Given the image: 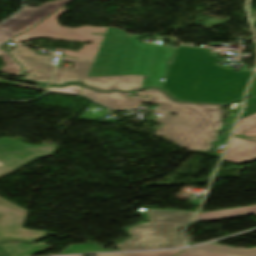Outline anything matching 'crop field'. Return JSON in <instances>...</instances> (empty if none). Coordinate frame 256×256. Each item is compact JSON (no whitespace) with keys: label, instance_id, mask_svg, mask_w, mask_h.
Returning a JSON list of instances; mask_svg holds the SVG:
<instances>
[{"label":"crop field","instance_id":"crop-field-1","mask_svg":"<svg viewBox=\"0 0 256 256\" xmlns=\"http://www.w3.org/2000/svg\"><path fill=\"white\" fill-rule=\"evenodd\" d=\"M141 96L153 95L150 99L128 97L129 93L97 92L83 87L84 95L111 110L137 109L141 102L161 104L155 111L162 114L156 120L166 124L156 134L190 150L207 151L212 141H218L216 131L223 127L221 116L225 111L215 105L177 103L160 90L147 89L136 92ZM173 111L174 117L166 112Z\"/></svg>","mask_w":256,"mask_h":256},{"label":"crop field","instance_id":"crop-field-18","mask_svg":"<svg viewBox=\"0 0 256 256\" xmlns=\"http://www.w3.org/2000/svg\"><path fill=\"white\" fill-rule=\"evenodd\" d=\"M256 127V113L239 120L234 134L241 135L244 131Z\"/></svg>","mask_w":256,"mask_h":256},{"label":"crop field","instance_id":"crop-field-21","mask_svg":"<svg viewBox=\"0 0 256 256\" xmlns=\"http://www.w3.org/2000/svg\"><path fill=\"white\" fill-rule=\"evenodd\" d=\"M52 247L45 245L43 243H40L18 255L15 256H29L30 254H34V253H39V252H43V251H47L49 249H51Z\"/></svg>","mask_w":256,"mask_h":256},{"label":"crop field","instance_id":"crop-field-10","mask_svg":"<svg viewBox=\"0 0 256 256\" xmlns=\"http://www.w3.org/2000/svg\"><path fill=\"white\" fill-rule=\"evenodd\" d=\"M10 53L25 67L23 74L29 73L25 79L43 83L49 82V78L55 67L52 65L53 62L49 61V57L36 56L33 51L25 46H20L10 51ZM33 74L36 77L32 76Z\"/></svg>","mask_w":256,"mask_h":256},{"label":"crop field","instance_id":"crop-field-2","mask_svg":"<svg viewBox=\"0 0 256 256\" xmlns=\"http://www.w3.org/2000/svg\"><path fill=\"white\" fill-rule=\"evenodd\" d=\"M209 50L180 47L163 89L179 101L225 104L243 96L253 72H233L215 66Z\"/></svg>","mask_w":256,"mask_h":256},{"label":"crop field","instance_id":"crop-field-16","mask_svg":"<svg viewBox=\"0 0 256 256\" xmlns=\"http://www.w3.org/2000/svg\"><path fill=\"white\" fill-rule=\"evenodd\" d=\"M34 245H30V244H24V243H2L0 244V247L2 249H0L1 252H4V255H0V256H13L17 253H20L30 247H32Z\"/></svg>","mask_w":256,"mask_h":256},{"label":"crop field","instance_id":"crop-field-19","mask_svg":"<svg viewBox=\"0 0 256 256\" xmlns=\"http://www.w3.org/2000/svg\"><path fill=\"white\" fill-rule=\"evenodd\" d=\"M82 86L81 84H68L62 87L51 86L47 91L51 92H62V93H72L79 94L81 93Z\"/></svg>","mask_w":256,"mask_h":256},{"label":"crop field","instance_id":"crop-field-3","mask_svg":"<svg viewBox=\"0 0 256 256\" xmlns=\"http://www.w3.org/2000/svg\"><path fill=\"white\" fill-rule=\"evenodd\" d=\"M57 147L53 145L31 147L20 140L0 138V161L5 164L0 167V177L38 157L54 155ZM28 212L0 197V242L2 239L36 241L46 236L45 232L22 228Z\"/></svg>","mask_w":256,"mask_h":256},{"label":"crop field","instance_id":"crop-field-17","mask_svg":"<svg viewBox=\"0 0 256 256\" xmlns=\"http://www.w3.org/2000/svg\"><path fill=\"white\" fill-rule=\"evenodd\" d=\"M109 250H112V249H106L104 247L93 245V244H86V245H72L59 253L67 254V253H81V252H95V251H109Z\"/></svg>","mask_w":256,"mask_h":256},{"label":"crop field","instance_id":"crop-field-29","mask_svg":"<svg viewBox=\"0 0 256 256\" xmlns=\"http://www.w3.org/2000/svg\"><path fill=\"white\" fill-rule=\"evenodd\" d=\"M3 165L1 162H0V166Z\"/></svg>","mask_w":256,"mask_h":256},{"label":"crop field","instance_id":"crop-field-28","mask_svg":"<svg viewBox=\"0 0 256 256\" xmlns=\"http://www.w3.org/2000/svg\"><path fill=\"white\" fill-rule=\"evenodd\" d=\"M247 138H251V139H255L256 140V137H247Z\"/></svg>","mask_w":256,"mask_h":256},{"label":"crop field","instance_id":"crop-field-30","mask_svg":"<svg viewBox=\"0 0 256 256\" xmlns=\"http://www.w3.org/2000/svg\"><path fill=\"white\" fill-rule=\"evenodd\" d=\"M98 1H100V0H98Z\"/></svg>","mask_w":256,"mask_h":256},{"label":"crop field","instance_id":"crop-field-22","mask_svg":"<svg viewBox=\"0 0 256 256\" xmlns=\"http://www.w3.org/2000/svg\"><path fill=\"white\" fill-rule=\"evenodd\" d=\"M179 251H166V252H148V253H132V254H123L124 256H172Z\"/></svg>","mask_w":256,"mask_h":256},{"label":"crop field","instance_id":"crop-field-12","mask_svg":"<svg viewBox=\"0 0 256 256\" xmlns=\"http://www.w3.org/2000/svg\"><path fill=\"white\" fill-rule=\"evenodd\" d=\"M174 49L159 46L156 54L155 62L153 65L152 73L150 77H145L142 87H155L160 88L162 84L159 83L160 79L165 76L167 64L170 60Z\"/></svg>","mask_w":256,"mask_h":256},{"label":"crop field","instance_id":"crop-field-5","mask_svg":"<svg viewBox=\"0 0 256 256\" xmlns=\"http://www.w3.org/2000/svg\"><path fill=\"white\" fill-rule=\"evenodd\" d=\"M61 61L74 63L73 69H70V65L67 68L57 67L51 83L63 84L65 82L81 81L84 85L96 90L118 89L128 91L140 89L144 78L140 75L87 77L93 61L66 57H62Z\"/></svg>","mask_w":256,"mask_h":256},{"label":"crop field","instance_id":"crop-field-11","mask_svg":"<svg viewBox=\"0 0 256 256\" xmlns=\"http://www.w3.org/2000/svg\"><path fill=\"white\" fill-rule=\"evenodd\" d=\"M223 159L237 163L256 159V142L232 137Z\"/></svg>","mask_w":256,"mask_h":256},{"label":"crop field","instance_id":"crop-field-13","mask_svg":"<svg viewBox=\"0 0 256 256\" xmlns=\"http://www.w3.org/2000/svg\"><path fill=\"white\" fill-rule=\"evenodd\" d=\"M256 214V206L199 214L195 222Z\"/></svg>","mask_w":256,"mask_h":256},{"label":"crop field","instance_id":"crop-field-4","mask_svg":"<svg viewBox=\"0 0 256 256\" xmlns=\"http://www.w3.org/2000/svg\"><path fill=\"white\" fill-rule=\"evenodd\" d=\"M151 223L128 229L132 239L116 244L120 251L183 247L179 229L186 226L196 212L149 209Z\"/></svg>","mask_w":256,"mask_h":256},{"label":"crop field","instance_id":"crop-field-25","mask_svg":"<svg viewBox=\"0 0 256 256\" xmlns=\"http://www.w3.org/2000/svg\"><path fill=\"white\" fill-rule=\"evenodd\" d=\"M15 86H17V87H25V88H33V89H41V90H45V88H46V86H42V85H38V84H36L35 86H32V85H26V84L17 83Z\"/></svg>","mask_w":256,"mask_h":256},{"label":"crop field","instance_id":"crop-field-8","mask_svg":"<svg viewBox=\"0 0 256 256\" xmlns=\"http://www.w3.org/2000/svg\"><path fill=\"white\" fill-rule=\"evenodd\" d=\"M131 35L109 28L88 76L119 75Z\"/></svg>","mask_w":256,"mask_h":256},{"label":"crop field","instance_id":"crop-field-9","mask_svg":"<svg viewBox=\"0 0 256 256\" xmlns=\"http://www.w3.org/2000/svg\"><path fill=\"white\" fill-rule=\"evenodd\" d=\"M158 46L143 45L138 36H132L120 75L149 76Z\"/></svg>","mask_w":256,"mask_h":256},{"label":"crop field","instance_id":"crop-field-7","mask_svg":"<svg viewBox=\"0 0 256 256\" xmlns=\"http://www.w3.org/2000/svg\"><path fill=\"white\" fill-rule=\"evenodd\" d=\"M67 8L63 7L34 29L14 38L18 42H24L28 39H38L43 37L63 39V40H75L86 42H98L101 43L104 36L91 35L92 32L106 33L108 28L104 27H80L76 29L62 28L57 23L56 19L61 14L65 13ZM29 41V40H28Z\"/></svg>","mask_w":256,"mask_h":256},{"label":"crop field","instance_id":"crop-field-15","mask_svg":"<svg viewBox=\"0 0 256 256\" xmlns=\"http://www.w3.org/2000/svg\"><path fill=\"white\" fill-rule=\"evenodd\" d=\"M196 249L217 251V252L244 255V256H256V248L250 249L248 251H244V250H239V249L223 247V246H219V245L207 244V245H203L200 247H196Z\"/></svg>","mask_w":256,"mask_h":256},{"label":"crop field","instance_id":"crop-field-6","mask_svg":"<svg viewBox=\"0 0 256 256\" xmlns=\"http://www.w3.org/2000/svg\"><path fill=\"white\" fill-rule=\"evenodd\" d=\"M70 1L71 0H58L45 3L39 8L25 7L20 13L0 24V45L11 37L27 31ZM0 56L3 57L6 63V66L1 71L20 76L22 68L18 63L7 52L0 51Z\"/></svg>","mask_w":256,"mask_h":256},{"label":"crop field","instance_id":"crop-field-26","mask_svg":"<svg viewBox=\"0 0 256 256\" xmlns=\"http://www.w3.org/2000/svg\"><path fill=\"white\" fill-rule=\"evenodd\" d=\"M242 135H246V136H256V128H253L251 130H248L246 132H244Z\"/></svg>","mask_w":256,"mask_h":256},{"label":"crop field","instance_id":"crop-field-20","mask_svg":"<svg viewBox=\"0 0 256 256\" xmlns=\"http://www.w3.org/2000/svg\"><path fill=\"white\" fill-rule=\"evenodd\" d=\"M177 256H237V255L223 254V253L196 250V249H188Z\"/></svg>","mask_w":256,"mask_h":256},{"label":"crop field","instance_id":"crop-field-27","mask_svg":"<svg viewBox=\"0 0 256 256\" xmlns=\"http://www.w3.org/2000/svg\"><path fill=\"white\" fill-rule=\"evenodd\" d=\"M96 256H123L122 254H114V255H96Z\"/></svg>","mask_w":256,"mask_h":256},{"label":"crop field","instance_id":"crop-field-24","mask_svg":"<svg viewBox=\"0 0 256 256\" xmlns=\"http://www.w3.org/2000/svg\"><path fill=\"white\" fill-rule=\"evenodd\" d=\"M248 97H256V75H255L253 82L250 86Z\"/></svg>","mask_w":256,"mask_h":256},{"label":"crop field","instance_id":"crop-field-23","mask_svg":"<svg viewBox=\"0 0 256 256\" xmlns=\"http://www.w3.org/2000/svg\"><path fill=\"white\" fill-rule=\"evenodd\" d=\"M256 112V98H247L246 107L243 111L241 118ZM240 118V119H241Z\"/></svg>","mask_w":256,"mask_h":256},{"label":"crop field","instance_id":"crop-field-14","mask_svg":"<svg viewBox=\"0 0 256 256\" xmlns=\"http://www.w3.org/2000/svg\"><path fill=\"white\" fill-rule=\"evenodd\" d=\"M100 45L101 44H98V43L84 45L83 49H81L78 53L66 51V50H58V49H53V50L63 52L65 55H69V56L94 60Z\"/></svg>","mask_w":256,"mask_h":256}]
</instances>
